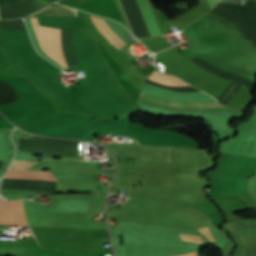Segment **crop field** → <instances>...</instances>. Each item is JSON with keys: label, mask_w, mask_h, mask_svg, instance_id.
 <instances>
[{"label": "crop field", "mask_w": 256, "mask_h": 256, "mask_svg": "<svg viewBox=\"0 0 256 256\" xmlns=\"http://www.w3.org/2000/svg\"><path fill=\"white\" fill-rule=\"evenodd\" d=\"M227 227L229 228L230 231H233V232H237V231L246 230V229L251 228L250 225H249L248 220L229 223V224H227Z\"/></svg>", "instance_id": "d8731c3e"}, {"label": "crop field", "mask_w": 256, "mask_h": 256, "mask_svg": "<svg viewBox=\"0 0 256 256\" xmlns=\"http://www.w3.org/2000/svg\"><path fill=\"white\" fill-rule=\"evenodd\" d=\"M178 256H196V252H191V253H187V254H183V255H178Z\"/></svg>", "instance_id": "d1516ede"}, {"label": "crop field", "mask_w": 256, "mask_h": 256, "mask_svg": "<svg viewBox=\"0 0 256 256\" xmlns=\"http://www.w3.org/2000/svg\"><path fill=\"white\" fill-rule=\"evenodd\" d=\"M149 36L161 35L147 0H135Z\"/></svg>", "instance_id": "f4fd0767"}, {"label": "crop field", "mask_w": 256, "mask_h": 256, "mask_svg": "<svg viewBox=\"0 0 256 256\" xmlns=\"http://www.w3.org/2000/svg\"><path fill=\"white\" fill-rule=\"evenodd\" d=\"M178 234H179L181 240L203 244L200 236L189 235V234H181V233H178Z\"/></svg>", "instance_id": "3316defc"}, {"label": "crop field", "mask_w": 256, "mask_h": 256, "mask_svg": "<svg viewBox=\"0 0 256 256\" xmlns=\"http://www.w3.org/2000/svg\"><path fill=\"white\" fill-rule=\"evenodd\" d=\"M0 224L28 225L22 200L0 202Z\"/></svg>", "instance_id": "412701ff"}, {"label": "crop field", "mask_w": 256, "mask_h": 256, "mask_svg": "<svg viewBox=\"0 0 256 256\" xmlns=\"http://www.w3.org/2000/svg\"><path fill=\"white\" fill-rule=\"evenodd\" d=\"M134 142L138 143L136 140H135ZM139 144H140V143H139Z\"/></svg>", "instance_id": "22f410ed"}, {"label": "crop field", "mask_w": 256, "mask_h": 256, "mask_svg": "<svg viewBox=\"0 0 256 256\" xmlns=\"http://www.w3.org/2000/svg\"><path fill=\"white\" fill-rule=\"evenodd\" d=\"M35 163L36 161L14 158L10 168L28 169Z\"/></svg>", "instance_id": "5a996713"}, {"label": "crop field", "mask_w": 256, "mask_h": 256, "mask_svg": "<svg viewBox=\"0 0 256 256\" xmlns=\"http://www.w3.org/2000/svg\"><path fill=\"white\" fill-rule=\"evenodd\" d=\"M108 147L114 156L141 158L140 162L171 164L173 148L152 147L134 144H103Z\"/></svg>", "instance_id": "ac0d7876"}, {"label": "crop field", "mask_w": 256, "mask_h": 256, "mask_svg": "<svg viewBox=\"0 0 256 256\" xmlns=\"http://www.w3.org/2000/svg\"><path fill=\"white\" fill-rule=\"evenodd\" d=\"M97 29L117 48L127 46V44L115 33V31L100 18L90 16Z\"/></svg>", "instance_id": "e52e79f7"}, {"label": "crop field", "mask_w": 256, "mask_h": 256, "mask_svg": "<svg viewBox=\"0 0 256 256\" xmlns=\"http://www.w3.org/2000/svg\"><path fill=\"white\" fill-rule=\"evenodd\" d=\"M203 235H205L211 242H214V239L208 229V227L198 229Z\"/></svg>", "instance_id": "28ad6ade"}, {"label": "crop field", "mask_w": 256, "mask_h": 256, "mask_svg": "<svg viewBox=\"0 0 256 256\" xmlns=\"http://www.w3.org/2000/svg\"><path fill=\"white\" fill-rule=\"evenodd\" d=\"M33 16H79V11L66 7H48ZM40 48L62 67L67 68L60 45L61 29L39 26L37 18H30Z\"/></svg>", "instance_id": "8a807250"}, {"label": "crop field", "mask_w": 256, "mask_h": 256, "mask_svg": "<svg viewBox=\"0 0 256 256\" xmlns=\"http://www.w3.org/2000/svg\"><path fill=\"white\" fill-rule=\"evenodd\" d=\"M4 178L58 181L49 171H23L9 169Z\"/></svg>", "instance_id": "dd49c442"}, {"label": "crop field", "mask_w": 256, "mask_h": 256, "mask_svg": "<svg viewBox=\"0 0 256 256\" xmlns=\"http://www.w3.org/2000/svg\"><path fill=\"white\" fill-rule=\"evenodd\" d=\"M148 79L157 81L160 83L168 84V85H173L181 88H192L189 85L185 84L181 80L171 77L166 74H162L159 72L154 71ZM139 97H143L145 99H149L152 101H155L157 103H162V104H168L172 106H177V107H223L216 102H177V101H170V100H165L162 98H158L143 92H140Z\"/></svg>", "instance_id": "34b2d1b8"}]
</instances>
